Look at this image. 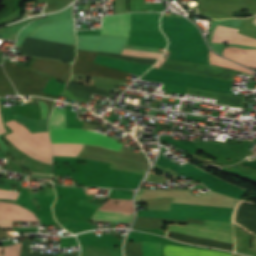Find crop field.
I'll list each match as a JSON object with an SVG mask.
<instances>
[{
	"label": "crop field",
	"instance_id": "crop-field-4",
	"mask_svg": "<svg viewBox=\"0 0 256 256\" xmlns=\"http://www.w3.org/2000/svg\"><path fill=\"white\" fill-rule=\"evenodd\" d=\"M21 139L33 148L51 156V145L48 138V132L31 134L23 125H19L14 120L5 122ZM14 132L5 135L14 145L27 155L40 161L51 164V157L44 155L28 144L22 141Z\"/></svg>",
	"mask_w": 256,
	"mask_h": 256
},
{
	"label": "crop field",
	"instance_id": "crop-field-19",
	"mask_svg": "<svg viewBox=\"0 0 256 256\" xmlns=\"http://www.w3.org/2000/svg\"><path fill=\"white\" fill-rule=\"evenodd\" d=\"M113 201L121 202L119 204L114 203ZM99 209L104 210H116V211H124V212H133L132 201L127 200H115L109 199L102 207Z\"/></svg>",
	"mask_w": 256,
	"mask_h": 256
},
{
	"label": "crop field",
	"instance_id": "crop-field-7",
	"mask_svg": "<svg viewBox=\"0 0 256 256\" xmlns=\"http://www.w3.org/2000/svg\"><path fill=\"white\" fill-rule=\"evenodd\" d=\"M97 52L77 50V59L73 65V73L124 80L126 72L111 69L92 63Z\"/></svg>",
	"mask_w": 256,
	"mask_h": 256
},
{
	"label": "crop field",
	"instance_id": "crop-field-12",
	"mask_svg": "<svg viewBox=\"0 0 256 256\" xmlns=\"http://www.w3.org/2000/svg\"><path fill=\"white\" fill-rule=\"evenodd\" d=\"M94 62L108 65L116 69L124 70L126 72H129L138 76L142 75L144 72H146L149 68L152 67L149 65L130 63V62H126V61H122L114 58L103 57L99 55L97 56Z\"/></svg>",
	"mask_w": 256,
	"mask_h": 256
},
{
	"label": "crop field",
	"instance_id": "crop-field-14",
	"mask_svg": "<svg viewBox=\"0 0 256 256\" xmlns=\"http://www.w3.org/2000/svg\"><path fill=\"white\" fill-rule=\"evenodd\" d=\"M164 256H230L229 253L165 245Z\"/></svg>",
	"mask_w": 256,
	"mask_h": 256
},
{
	"label": "crop field",
	"instance_id": "crop-field-28",
	"mask_svg": "<svg viewBox=\"0 0 256 256\" xmlns=\"http://www.w3.org/2000/svg\"><path fill=\"white\" fill-rule=\"evenodd\" d=\"M13 221H0V227L4 229H12Z\"/></svg>",
	"mask_w": 256,
	"mask_h": 256
},
{
	"label": "crop field",
	"instance_id": "crop-field-22",
	"mask_svg": "<svg viewBox=\"0 0 256 256\" xmlns=\"http://www.w3.org/2000/svg\"><path fill=\"white\" fill-rule=\"evenodd\" d=\"M64 114L65 110L54 107L49 121V128L65 127Z\"/></svg>",
	"mask_w": 256,
	"mask_h": 256
},
{
	"label": "crop field",
	"instance_id": "crop-field-23",
	"mask_svg": "<svg viewBox=\"0 0 256 256\" xmlns=\"http://www.w3.org/2000/svg\"><path fill=\"white\" fill-rule=\"evenodd\" d=\"M15 91L12 87L11 82L3 73L2 67L0 65V96L14 94Z\"/></svg>",
	"mask_w": 256,
	"mask_h": 256
},
{
	"label": "crop field",
	"instance_id": "crop-field-16",
	"mask_svg": "<svg viewBox=\"0 0 256 256\" xmlns=\"http://www.w3.org/2000/svg\"><path fill=\"white\" fill-rule=\"evenodd\" d=\"M133 214L96 210L91 220L114 221L120 223H131Z\"/></svg>",
	"mask_w": 256,
	"mask_h": 256
},
{
	"label": "crop field",
	"instance_id": "crop-field-32",
	"mask_svg": "<svg viewBox=\"0 0 256 256\" xmlns=\"http://www.w3.org/2000/svg\"><path fill=\"white\" fill-rule=\"evenodd\" d=\"M252 22L256 25V16H255V18H254V20Z\"/></svg>",
	"mask_w": 256,
	"mask_h": 256
},
{
	"label": "crop field",
	"instance_id": "crop-field-9",
	"mask_svg": "<svg viewBox=\"0 0 256 256\" xmlns=\"http://www.w3.org/2000/svg\"><path fill=\"white\" fill-rule=\"evenodd\" d=\"M31 68L53 75L66 83L71 74V65L56 60L36 58Z\"/></svg>",
	"mask_w": 256,
	"mask_h": 256
},
{
	"label": "crop field",
	"instance_id": "crop-field-13",
	"mask_svg": "<svg viewBox=\"0 0 256 256\" xmlns=\"http://www.w3.org/2000/svg\"><path fill=\"white\" fill-rule=\"evenodd\" d=\"M142 242L130 243L125 241L124 255L125 256H142ZM143 256H161V244L143 242Z\"/></svg>",
	"mask_w": 256,
	"mask_h": 256
},
{
	"label": "crop field",
	"instance_id": "crop-field-33",
	"mask_svg": "<svg viewBox=\"0 0 256 256\" xmlns=\"http://www.w3.org/2000/svg\"><path fill=\"white\" fill-rule=\"evenodd\" d=\"M3 247H0V254H1V250H2Z\"/></svg>",
	"mask_w": 256,
	"mask_h": 256
},
{
	"label": "crop field",
	"instance_id": "crop-field-10",
	"mask_svg": "<svg viewBox=\"0 0 256 256\" xmlns=\"http://www.w3.org/2000/svg\"><path fill=\"white\" fill-rule=\"evenodd\" d=\"M238 29L217 25L211 42H224L256 46V39L237 33Z\"/></svg>",
	"mask_w": 256,
	"mask_h": 256
},
{
	"label": "crop field",
	"instance_id": "crop-field-17",
	"mask_svg": "<svg viewBox=\"0 0 256 256\" xmlns=\"http://www.w3.org/2000/svg\"><path fill=\"white\" fill-rule=\"evenodd\" d=\"M162 221L179 222V223H198V224H203L204 223V221L193 220V219H188L187 221H184V220H171V219H156V218L137 217L133 228H162L161 225H160V223Z\"/></svg>",
	"mask_w": 256,
	"mask_h": 256
},
{
	"label": "crop field",
	"instance_id": "crop-field-34",
	"mask_svg": "<svg viewBox=\"0 0 256 256\" xmlns=\"http://www.w3.org/2000/svg\"><path fill=\"white\" fill-rule=\"evenodd\" d=\"M100 91H102V90H100ZM104 92H106V91H104ZM109 93V92H108Z\"/></svg>",
	"mask_w": 256,
	"mask_h": 256
},
{
	"label": "crop field",
	"instance_id": "crop-field-8",
	"mask_svg": "<svg viewBox=\"0 0 256 256\" xmlns=\"http://www.w3.org/2000/svg\"><path fill=\"white\" fill-rule=\"evenodd\" d=\"M130 14L103 17L101 35L128 37Z\"/></svg>",
	"mask_w": 256,
	"mask_h": 256
},
{
	"label": "crop field",
	"instance_id": "crop-field-20",
	"mask_svg": "<svg viewBox=\"0 0 256 256\" xmlns=\"http://www.w3.org/2000/svg\"><path fill=\"white\" fill-rule=\"evenodd\" d=\"M91 93L84 92L82 90L76 89L74 87L68 86L65 91L62 93L61 97L71 100H77L82 102H88Z\"/></svg>",
	"mask_w": 256,
	"mask_h": 256
},
{
	"label": "crop field",
	"instance_id": "crop-field-1",
	"mask_svg": "<svg viewBox=\"0 0 256 256\" xmlns=\"http://www.w3.org/2000/svg\"><path fill=\"white\" fill-rule=\"evenodd\" d=\"M171 209L192 218L231 222L232 211L234 208L172 203ZM172 210L171 212L139 210L137 216H151L186 220V216ZM211 220H206L205 226L195 224H168L166 228L168 231L234 243L231 223Z\"/></svg>",
	"mask_w": 256,
	"mask_h": 256
},
{
	"label": "crop field",
	"instance_id": "crop-field-3",
	"mask_svg": "<svg viewBox=\"0 0 256 256\" xmlns=\"http://www.w3.org/2000/svg\"><path fill=\"white\" fill-rule=\"evenodd\" d=\"M79 157L112 163L110 168L144 175L149 165L145 156L122 148L119 152L84 145Z\"/></svg>",
	"mask_w": 256,
	"mask_h": 256
},
{
	"label": "crop field",
	"instance_id": "crop-field-30",
	"mask_svg": "<svg viewBox=\"0 0 256 256\" xmlns=\"http://www.w3.org/2000/svg\"><path fill=\"white\" fill-rule=\"evenodd\" d=\"M118 59H121V58H118ZM122 60L130 61V62H136V63L149 64V65L155 64V63H150V62H140V61L127 60V59H122Z\"/></svg>",
	"mask_w": 256,
	"mask_h": 256
},
{
	"label": "crop field",
	"instance_id": "crop-field-29",
	"mask_svg": "<svg viewBox=\"0 0 256 256\" xmlns=\"http://www.w3.org/2000/svg\"><path fill=\"white\" fill-rule=\"evenodd\" d=\"M41 107V113H42V118H46V103L40 101L38 102Z\"/></svg>",
	"mask_w": 256,
	"mask_h": 256
},
{
	"label": "crop field",
	"instance_id": "crop-field-31",
	"mask_svg": "<svg viewBox=\"0 0 256 256\" xmlns=\"http://www.w3.org/2000/svg\"><path fill=\"white\" fill-rule=\"evenodd\" d=\"M3 132H5V130H4V128H3L2 124H1V120H0V134L3 133Z\"/></svg>",
	"mask_w": 256,
	"mask_h": 256
},
{
	"label": "crop field",
	"instance_id": "crop-field-2",
	"mask_svg": "<svg viewBox=\"0 0 256 256\" xmlns=\"http://www.w3.org/2000/svg\"><path fill=\"white\" fill-rule=\"evenodd\" d=\"M165 60L166 59L161 58L159 62L153 67L160 69L162 64L165 62ZM161 69L208 76V77H215V78H221V79H227V80H232L233 75L237 72L236 70L225 69V68L214 66V65L207 66L202 64H196V63L179 61V60H171V59H167ZM243 74H246V73H243ZM186 93L204 96V97L217 98L216 103L218 104H228L230 106H237V107L244 106L245 97L231 96L229 94L217 93V92L189 88V87H187Z\"/></svg>",
	"mask_w": 256,
	"mask_h": 256
},
{
	"label": "crop field",
	"instance_id": "crop-field-24",
	"mask_svg": "<svg viewBox=\"0 0 256 256\" xmlns=\"http://www.w3.org/2000/svg\"><path fill=\"white\" fill-rule=\"evenodd\" d=\"M122 54L128 55V56H139L144 58H156V59H159V57L161 56V54L159 53L143 52V51L128 50V49H124Z\"/></svg>",
	"mask_w": 256,
	"mask_h": 256
},
{
	"label": "crop field",
	"instance_id": "crop-field-5",
	"mask_svg": "<svg viewBox=\"0 0 256 256\" xmlns=\"http://www.w3.org/2000/svg\"><path fill=\"white\" fill-rule=\"evenodd\" d=\"M3 67L20 95H37L55 99L56 96L41 93L49 77L4 60Z\"/></svg>",
	"mask_w": 256,
	"mask_h": 256
},
{
	"label": "crop field",
	"instance_id": "crop-field-18",
	"mask_svg": "<svg viewBox=\"0 0 256 256\" xmlns=\"http://www.w3.org/2000/svg\"><path fill=\"white\" fill-rule=\"evenodd\" d=\"M10 108L13 114H22L26 117L41 119L40 108L35 102L25 105H16Z\"/></svg>",
	"mask_w": 256,
	"mask_h": 256
},
{
	"label": "crop field",
	"instance_id": "crop-field-25",
	"mask_svg": "<svg viewBox=\"0 0 256 256\" xmlns=\"http://www.w3.org/2000/svg\"><path fill=\"white\" fill-rule=\"evenodd\" d=\"M145 181L163 183V184H166V182H167L166 178L158 176V175L150 174V173L148 174Z\"/></svg>",
	"mask_w": 256,
	"mask_h": 256
},
{
	"label": "crop field",
	"instance_id": "crop-field-26",
	"mask_svg": "<svg viewBox=\"0 0 256 256\" xmlns=\"http://www.w3.org/2000/svg\"><path fill=\"white\" fill-rule=\"evenodd\" d=\"M19 192L0 189V198L16 199Z\"/></svg>",
	"mask_w": 256,
	"mask_h": 256
},
{
	"label": "crop field",
	"instance_id": "crop-field-6",
	"mask_svg": "<svg viewBox=\"0 0 256 256\" xmlns=\"http://www.w3.org/2000/svg\"><path fill=\"white\" fill-rule=\"evenodd\" d=\"M50 135L55 134H70V135H86L100 137L107 140L115 141L107 136L98 134L91 131H83V129H74V128H58V129H49ZM70 135H55L50 136L51 143H79V144H90L97 145L113 150L119 151L123 145L115 142L107 141L100 138L86 137V136H70Z\"/></svg>",
	"mask_w": 256,
	"mask_h": 256
},
{
	"label": "crop field",
	"instance_id": "crop-field-27",
	"mask_svg": "<svg viewBox=\"0 0 256 256\" xmlns=\"http://www.w3.org/2000/svg\"><path fill=\"white\" fill-rule=\"evenodd\" d=\"M153 169H156V170H159V171H162V172H165V173H167V174H169V175H171L172 177H176V175H177V173L176 172H174V171H172L171 169H169V168H166V169H164V168H162V167H159V166H153Z\"/></svg>",
	"mask_w": 256,
	"mask_h": 256
},
{
	"label": "crop field",
	"instance_id": "crop-field-15",
	"mask_svg": "<svg viewBox=\"0 0 256 256\" xmlns=\"http://www.w3.org/2000/svg\"><path fill=\"white\" fill-rule=\"evenodd\" d=\"M223 55L254 69L256 68V50L226 48Z\"/></svg>",
	"mask_w": 256,
	"mask_h": 256
},
{
	"label": "crop field",
	"instance_id": "crop-field-21",
	"mask_svg": "<svg viewBox=\"0 0 256 256\" xmlns=\"http://www.w3.org/2000/svg\"><path fill=\"white\" fill-rule=\"evenodd\" d=\"M209 61H210V65L211 64H215V65H218V66H222V67H225V68H232V69H236V70H239V71H243V72H246V73H250V74H254L252 71L250 70H247L239 65H236L228 60H224L216 55H214L211 51L209 53Z\"/></svg>",
	"mask_w": 256,
	"mask_h": 256
},
{
	"label": "crop field",
	"instance_id": "crop-field-11",
	"mask_svg": "<svg viewBox=\"0 0 256 256\" xmlns=\"http://www.w3.org/2000/svg\"><path fill=\"white\" fill-rule=\"evenodd\" d=\"M160 15L161 13L131 14V31H160Z\"/></svg>",
	"mask_w": 256,
	"mask_h": 256
}]
</instances>
